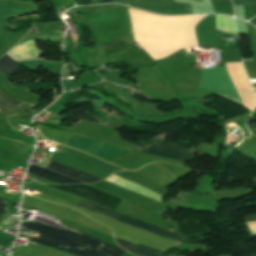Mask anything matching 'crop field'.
Here are the masks:
<instances>
[{
  "label": "crop field",
  "instance_id": "8a807250",
  "mask_svg": "<svg viewBox=\"0 0 256 256\" xmlns=\"http://www.w3.org/2000/svg\"><path fill=\"white\" fill-rule=\"evenodd\" d=\"M21 227L40 233L39 239L31 236L30 241L55 247L79 256H122L126 252L65 226L58 230L34 222L33 224L22 223Z\"/></svg>",
  "mask_w": 256,
  "mask_h": 256
},
{
  "label": "crop field",
  "instance_id": "ac0d7876",
  "mask_svg": "<svg viewBox=\"0 0 256 256\" xmlns=\"http://www.w3.org/2000/svg\"><path fill=\"white\" fill-rule=\"evenodd\" d=\"M199 69L202 75L198 86L199 88L214 92L242 105L225 67Z\"/></svg>",
  "mask_w": 256,
  "mask_h": 256
},
{
  "label": "crop field",
  "instance_id": "34b2d1b8",
  "mask_svg": "<svg viewBox=\"0 0 256 256\" xmlns=\"http://www.w3.org/2000/svg\"><path fill=\"white\" fill-rule=\"evenodd\" d=\"M76 204H78L80 206H83V207H86V208H88V209H90V210H92L96 213L102 214L104 216H107V217L112 218L114 220H117L119 222H121L123 220V218L125 217V215H123V214L117 213L115 211L109 210V209L104 208V207L97 206V205H95L93 203H90L88 201H85L81 198L78 199ZM122 223L135 226L137 228L143 229L145 231H148L150 233L156 234V235L161 236V237H165V238H169V239H173V240H177V241H181V242H188L189 241L184 236L183 233H172V232H169L170 230L167 231L163 228H160V227H157V226H154V225H151V224H148V223L130 218L128 216H126L124 218Z\"/></svg>",
  "mask_w": 256,
  "mask_h": 256
},
{
  "label": "crop field",
  "instance_id": "412701ff",
  "mask_svg": "<svg viewBox=\"0 0 256 256\" xmlns=\"http://www.w3.org/2000/svg\"><path fill=\"white\" fill-rule=\"evenodd\" d=\"M66 145L80 149L108 162L131 151L130 149L111 145L75 133H73Z\"/></svg>",
  "mask_w": 256,
  "mask_h": 256
},
{
  "label": "crop field",
  "instance_id": "f4fd0767",
  "mask_svg": "<svg viewBox=\"0 0 256 256\" xmlns=\"http://www.w3.org/2000/svg\"><path fill=\"white\" fill-rule=\"evenodd\" d=\"M67 192H70L76 196L87 199L94 203L110 207L114 210L121 204L122 200L117 199L113 196L105 194L101 191L93 189L84 184L77 185H49Z\"/></svg>",
  "mask_w": 256,
  "mask_h": 256
},
{
  "label": "crop field",
  "instance_id": "dd49c442",
  "mask_svg": "<svg viewBox=\"0 0 256 256\" xmlns=\"http://www.w3.org/2000/svg\"><path fill=\"white\" fill-rule=\"evenodd\" d=\"M138 151L178 159L185 162L194 158L185 146L174 145L154 139H151L140 146Z\"/></svg>",
  "mask_w": 256,
  "mask_h": 256
},
{
  "label": "crop field",
  "instance_id": "e52e79f7",
  "mask_svg": "<svg viewBox=\"0 0 256 256\" xmlns=\"http://www.w3.org/2000/svg\"><path fill=\"white\" fill-rule=\"evenodd\" d=\"M28 172L30 173H34L38 176L44 177V178H48L51 179L59 184H68V183H83L80 181H77L71 177H68L66 175H61V174H57L53 171L50 170H45L43 168H39L37 166L34 165H30V168L28 170Z\"/></svg>",
  "mask_w": 256,
  "mask_h": 256
},
{
  "label": "crop field",
  "instance_id": "d8731c3e",
  "mask_svg": "<svg viewBox=\"0 0 256 256\" xmlns=\"http://www.w3.org/2000/svg\"><path fill=\"white\" fill-rule=\"evenodd\" d=\"M48 168L59 171V172H62V173L66 174V175H69L71 177L78 178V179H80V180H82L86 183L100 180L98 178L87 175V174H85L81 171H78L76 169L68 168V167H66V166H64L60 163H57V162H50Z\"/></svg>",
  "mask_w": 256,
  "mask_h": 256
},
{
  "label": "crop field",
  "instance_id": "5a996713",
  "mask_svg": "<svg viewBox=\"0 0 256 256\" xmlns=\"http://www.w3.org/2000/svg\"><path fill=\"white\" fill-rule=\"evenodd\" d=\"M104 56H119L130 47L122 39H117L100 45Z\"/></svg>",
  "mask_w": 256,
  "mask_h": 256
},
{
  "label": "crop field",
  "instance_id": "3316defc",
  "mask_svg": "<svg viewBox=\"0 0 256 256\" xmlns=\"http://www.w3.org/2000/svg\"><path fill=\"white\" fill-rule=\"evenodd\" d=\"M115 240L120 247H122L123 249H125L135 255H138V256H163L159 253H155V252L149 251L147 249H144L142 247L136 246L128 241L120 240L117 238H115Z\"/></svg>",
  "mask_w": 256,
  "mask_h": 256
},
{
  "label": "crop field",
  "instance_id": "28ad6ade",
  "mask_svg": "<svg viewBox=\"0 0 256 256\" xmlns=\"http://www.w3.org/2000/svg\"><path fill=\"white\" fill-rule=\"evenodd\" d=\"M19 66L20 65L9 58L7 54L0 59V71L6 76V78H8Z\"/></svg>",
  "mask_w": 256,
  "mask_h": 256
},
{
  "label": "crop field",
  "instance_id": "d1516ede",
  "mask_svg": "<svg viewBox=\"0 0 256 256\" xmlns=\"http://www.w3.org/2000/svg\"><path fill=\"white\" fill-rule=\"evenodd\" d=\"M23 104L25 103L11 99L0 92V110L1 111L7 112Z\"/></svg>",
  "mask_w": 256,
  "mask_h": 256
},
{
  "label": "crop field",
  "instance_id": "22f410ed",
  "mask_svg": "<svg viewBox=\"0 0 256 256\" xmlns=\"http://www.w3.org/2000/svg\"><path fill=\"white\" fill-rule=\"evenodd\" d=\"M0 212L8 214L7 206H6V201H5V199H2V198H0ZM3 213H0V220L3 217V215H4Z\"/></svg>",
  "mask_w": 256,
  "mask_h": 256
},
{
  "label": "crop field",
  "instance_id": "cbeb9de0",
  "mask_svg": "<svg viewBox=\"0 0 256 256\" xmlns=\"http://www.w3.org/2000/svg\"><path fill=\"white\" fill-rule=\"evenodd\" d=\"M245 221H255L256 220V215H252V216H246L244 217Z\"/></svg>",
  "mask_w": 256,
  "mask_h": 256
}]
</instances>
